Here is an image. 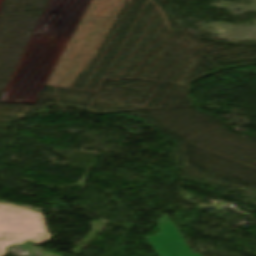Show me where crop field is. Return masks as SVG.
<instances>
[{
	"mask_svg": "<svg viewBox=\"0 0 256 256\" xmlns=\"http://www.w3.org/2000/svg\"><path fill=\"white\" fill-rule=\"evenodd\" d=\"M177 256H201L200 253H193L178 231L166 217V215L156 224Z\"/></svg>",
	"mask_w": 256,
	"mask_h": 256,
	"instance_id": "crop-field-2",
	"label": "crop field"
},
{
	"mask_svg": "<svg viewBox=\"0 0 256 256\" xmlns=\"http://www.w3.org/2000/svg\"><path fill=\"white\" fill-rule=\"evenodd\" d=\"M51 238L42 213L23 207L0 204V256L6 255V247L33 241L43 244Z\"/></svg>",
	"mask_w": 256,
	"mask_h": 256,
	"instance_id": "crop-field-1",
	"label": "crop field"
},
{
	"mask_svg": "<svg viewBox=\"0 0 256 256\" xmlns=\"http://www.w3.org/2000/svg\"><path fill=\"white\" fill-rule=\"evenodd\" d=\"M148 240L150 241L159 256H176V254L169 246L165 238L162 236V234L148 237Z\"/></svg>",
	"mask_w": 256,
	"mask_h": 256,
	"instance_id": "crop-field-3",
	"label": "crop field"
}]
</instances>
